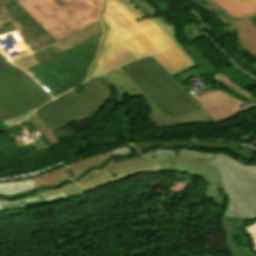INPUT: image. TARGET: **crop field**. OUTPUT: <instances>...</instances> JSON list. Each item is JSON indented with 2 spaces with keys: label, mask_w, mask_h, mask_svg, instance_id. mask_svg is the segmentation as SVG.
<instances>
[{
  "label": "crop field",
  "mask_w": 256,
  "mask_h": 256,
  "mask_svg": "<svg viewBox=\"0 0 256 256\" xmlns=\"http://www.w3.org/2000/svg\"><path fill=\"white\" fill-rule=\"evenodd\" d=\"M154 171H158L156 162L145 157H138L118 163L113 160L105 168L88 173L78 183H71L63 185L59 189H47L44 191L48 196L64 191L68 197H74L131 175Z\"/></svg>",
  "instance_id": "crop-field-9"
},
{
  "label": "crop field",
  "mask_w": 256,
  "mask_h": 256,
  "mask_svg": "<svg viewBox=\"0 0 256 256\" xmlns=\"http://www.w3.org/2000/svg\"><path fill=\"white\" fill-rule=\"evenodd\" d=\"M10 1H13V0H0V4H4V3L10 2Z\"/></svg>",
  "instance_id": "crop-field-31"
},
{
  "label": "crop field",
  "mask_w": 256,
  "mask_h": 256,
  "mask_svg": "<svg viewBox=\"0 0 256 256\" xmlns=\"http://www.w3.org/2000/svg\"><path fill=\"white\" fill-rule=\"evenodd\" d=\"M250 19L254 23V25L256 26V21L253 19V17H251Z\"/></svg>",
  "instance_id": "crop-field-33"
},
{
  "label": "crop field",
  "mask_w": 256,
  "mask_h": 256,
  "mask_svg": "<svg viewBox=\"0 0 256 256\" xmlns=\"http://www.w3.org/2000/svg\"><path fill=\"white\" fill-rule=\"evenodd\" d=\"M31 113H33V111H29L28 113H26L25 115H22V116H19V117H16V118H13V119H10V120H7V121H3V123L7 126V127H10L24 119H26Z\"/></svg>",
  "instance_id": "crop-field-25"
},
{
  "label": "crop field",
  "mask_w": 256,
  "mask_h": 256,
  "mask_svg": "<svg viewBox=\"0 0 256 256\" xmlns=\"http://www.w3.org/2000/svg\"><path fill=\"white\" fill-rule=\"evenodd\" d=\"M89 82L79 95L72 90L41 106L35 113L54 133L73 122L98 115L112 95V88L101 76Z\"/></svg>",
  "instance_id": "crop-field-7"
},
{
  "label": "crop field",
  "mask_w": 256,
  "mask_h": 256,
  "mask_svg": "<svg viewBox=\"0 0 256 256\" xmlns=\"http://www.w3.org/2000/svg\"><path fill=\"white\" fill-rule=\"evenodd\" d=\"M102 32L103 26L97 22L51 46L13 59L12 63L27 71L57 98L86 81Z\"/></svg>",
  "instance_id": "crop-field-2"
},
{
  "label": "crop field",
  "mask_w": 256,
  "mask_h": 256,
  "mask_svg": "<svg viewBox=\"0 0 256 256\" xmlns=\"http://www.w3.org/2000/svg\"><path fill=\"white\" fill-rule=\"evenodd\" d=\"M245 230L249 233V235H251L253 239L252 246L256 250V223L246 227Z\"/></svg>",
  "instance_id": "crop-field-27"
},
{
  "label": "crop field",
  "mask_w": 256,
  "mask_h": 256,
  "mask_svg": "<svg viewBox=\"0 0 256 256\" xmlns=\"http://www.w3.org/2000/svg\"><path fill=\"white\" fill-rule=\"evenodd\" d=\"M101 22L105 31L89 78L152 53L171 74L191 66L156 23L121 0L103 1Z\"/></svg>",
  "instance_id": "crop-field-1"
},
{
  "label": "crop field",
  "mask_w": 256,
  "mask_h": 256,
  "mask_svg": "<svg viewBox=\"0 0 256 256\" xmlns=\"http://www.w3.org/2000/svg\"><path fill=\"white\" fill-rule=\"evenodd\" d=\"M191 1L207 8L214 15H216L220 20H222L226 25H229L232 22L236 21L233 17H231L229 14H227L225 11H223L221 8H219L210 0H191Z\"/></svg>",
  "instance_id": "crop-field-23"
},
{
  "label": "crop field",
  "mask_w": 256,
  "mask_h": 256,
  "mask_svg": "<svg viewBox=\"0 0 256 256\" xmlns=\"http://www.w3.org/2000/svg\"><path fill=\"white\" fill-rule=\"evenodd\" d=\"M57 41L99 21L101 0H18Z\"/></svg>",
  "instance_id": "crop-field-5"
},
{
  "label": "crop field",
  "mask_w": 256,
  "mask_h": 256,
  "mask_svg": "<svg viewBox=\"0 0 256 256\" xmlns=\"http://www.w3.org/2000/svg\"><path fill=\"white\" fill-rule=\"evenodd\" d=\"M132 2L136 1V0H131Z\"/></svg>",
  "instance_id": "crop-field-35"
},
{
  "label": "crop field",
  "mask_w": 256,
  "mask_h": 256,
  "mask_svg": "<svg viewBox=\"0 0 256 256\" xmlns=\"http://www.w3.org/2000/svg\"><path fill=\"white\" fill-rule=\"evenodd\" d=\"M161 171H181L203 177L207 186L206 193L217 207V214L213 218L221 216L224 210L227 196H221L218 185L217 173L206 164L208 160L195 158H171L158 160Z\"/></svg>",
  "instance_id": "crop-field-11"
},
{
  "label": "crop field",
  "mask_w": 256,
  "mask_h": 256,
  "mask_svg": "<svg viewBox=\"0 0 256 256\" xmlns=\"http://www.w3.org/2000/svg\"><path fill=\"white\" fill-rule=\"evenodd\" d=\"M17 30L30 52L57 42L16 1L0 6V35Z\"/></svg>",
  "instance_id": "crop-field-10"
},
{
  "label": "crop field",
  "mask_w": 256,
  "mask_h": 256,
  "mask_svg": "<svg viewBox=\"0 0 256 256\" xmlns=\"http://www.w3.org/2000/svg\"><path fill=\"white\" fill-rule=\"evenodd\" d=\"M235 19L256 14V0H211Z\"/></svg>",
  "instance_id": "crop-field-15"
},
{
  "label": "crop field",
  "mask_w": 256,
  "mask_h": 256,
  "mask_svg": "<svg viewBox=\"0 0 256 256\" xmlns=\"http://www.w3.org/2000/svg\"><path fill=\"white\" fill-rule=\"evenodd\" d=\"M131 152L132 151L129 150L128 148H126L125 146L121 147V148L114 149V153L116 154V156L126 154V153H131Z\"/></svg>",
  "instance_id": "crop-field-29"
},
{
  "label": "crop field",
  "mask_w": 256,
  "mask_h": 256,
  "mask_svg": "<svg viewBox=\"0 0 256 256\" xmlns=\"http://www.w3.org/2000/svg\"><path fill=\"white\" fill-rule=\"evenodd\" d=\"M34 180L38 183L35 188L39 186H58L62 182L71 180L69 175L66 173L65 169H60L49 174L34 178Z\"/></svg>",
  "instance_id": "crop-field-22"
},
{
  "label": "crop field",
  "mask_w": 256,
  "mask_h": 256,
  "mask_svg": "<svg viewBox=\"0 0 256 256\" xmlns=\"http://www.w3.org/2000/svg\"><path fill=\"white\" fill-rule=\"evenodd\" d=\"M28 120L37 126L53 145L60 144L52 130H49V127L36 114H33Z\"/></svg>",
  "instance_id": "crop-field-24"
},
{
  "label": "crop field",
  "mask_w": 256,
  "mask_h": 256,
  "mask_svg": "<svg viewBox=\"0 0 256 256\" xmlns=\"http://www.w3.org/2000/svg\"><path fill=\"white\" fill-rule=\"evenodd\" d=\"M255 20H256V16H254Z\"/></svg>",
  "instance_id": "crop-field-36"
},
{
  "label": "crop field",
  "mask_w": 256,
  "mask_h": 256,
  "mask_svg": "<svg viewBox=\"0 0 256 256\" xmlns=\"http://www.w3.org/2000/svg\"><path fill=\"white\" fill-rule=\"evenodd\" d=\"M32 135H35V134H32ZM35 138H36V139L33 140L34 142H32V140H31V141H28V142L19 143L18 146L21 147V146H24V145H28V144L33 143L34 146L37 148V150L46 147V146L44 145V143H43L37 136H35Z\"/></svg>",
  "instance_id": "crop-field-26"
},
{
  "label": "crop field",
  "mask_w": 256,
  "mask_h": 256,
  "mask_svg": "<svg viewBox=\"0 0 256 256\" xmlns=\"http://www.w3.org/2000/svg\"><path fill=\"white\" fill-rule=\"evenodd\" d=\"M21 125H23L27 130H28V132L31 134V133H33L29 128H27L23 123H20Z\"/></svg>",
  "instance_id": "crop-field-32"
},
{
  "label": "crop field",
  "mask_w": 256,
  "mask_h": 256,
  "mask_svg": "<svg viewBox=\"0 0 256 256\" xmlns=\"http://www.w3.org/2000/svg\"><path fill=\"white\" fill-rule=\"evenodd\" d=\"M36 182L33 179L22 180L12 183H0V196L15 197L21 196L27 192L34 190L33 184Z\"/></svg>",
  "instance_id": "crop-field-20"
},
{
  "label": "crop field",
  "mask_w": 256,
  "mask_h": 256,
  "mask_svg": "<svg viewBox=\"0 0 256 256\" xmlns=\"http://www.w3.org/2000/svg\"><path fill=\"white\" fill-rule=\"evenodd\" d=\"M139 152L144 151L145 149L154 146H189V147H199V148H207L212 150L225 149L229 152L238 156L239 149L242 145L226 143V142H155V143H142V144H134Z\"/></svg>",
  "instance_id": "crop-field-14"
},
{
  "label": "crop field",
  "mask_w": 256,
  "mask_h": 256,
  "mask_svg": "<svg viewBox=\"0 0 256 256\" xmlns=\"http://www.w3.org/2000/svg\"><path fill=\"white\" fill-rule=\"evenodd\" d=\"M207 165L218 173L221 194L228 195L223 216L256 218V164L218 153Z\"/></svg>",
  "instance_id": "crop-field-6"
},
{
  "label": "crop field",
  "mask_w": 256,
  "mask_h": 256,
  "mask_svg": "<svg viewBox=\"0 0 256 256\" xmlns=\"http://www.w3.org/2000/svg\"><path fill=\"white\" fill-rule=\"evenodd\" d=\"M52 98L0 55V121L37 109Z\"/></svg>",
  "instance_id": "crop-field-8"
},
{
  "label": "crop field",
  "mask_w": 256,
  "mask_h": 256,
  "mask_svg": "<svg viewBox=\"0 0 256 256\" xmlns=\"http://www.w3.org/2000/svg\"><path fill=\"white\" fill-rule=\"evenodd\" d=\"M188 53L193 57L194 61L198 64V66L181 72L179 74L174 75L181 83L189 82L188 79L194 77L195 79L201 80L200 76L206 75L210 73L212 76L220 80L230 89L235 91L236 93L240 94L241 96L249 99L253 97L256 99L254 95L249 93L248 91L242 89L237 84L231 82L226 76H224L220 71L218 72L215 68L216 66L214 63L208 59L204 58L205 53H202L198 49V45H195L193 42L190 45L184 46ZM187 76V77H186ZM253 103V100H251Z\"/></svg>",
  "instance_id": "crop-field-12"
},
{
  "label": "crop field",
  "mask_w": 256,
  "mask_h": 256,
  "mask_svg": "<svg viewBox=\"0 0 256 256\" xmlns=\"http://www.w3.org/2000/svg\"><path fill=\"white\" fill-rule=\"evenodd\" d=\"M101 76L114 85L117 90L118 99L117 102L113 103L111 111L119 102H124L126 93H131L133 96L144 95L153 112L149 116L152 122L155 123L156 128L182 124L222 122L242 111L256 108V105L249 104L242 109L239 106L244 102L214 88L193 95L204 108L169 120L121 68L106 72Z\"/></svg>",
  "instance_id": "crop-field-3"
},
{
  "label": "crop field",
  "mask_w": 256,
  "mask_h": 256,
  "mask_svg": "<svg viewBox=\"0 0 256 256\" xmlns=\"http://www.w3.org/2000/svg\"><path fill=\"white\" fill-rule=\"evenodd\" d=\"M42 199H45L47 201L48 205H50V204H54V203L61 202L64 200H68V197L65 195L64 192L47 197L45 192L40 190V191L36 192L35 194H31L26 197H22L21 199H18L16 201L10 202V201L0 200V210L1 209L25 208V203L42 200Z\"/></svg>",
  "instance_id": "crop-field-16"
},
{
  "label": "crop field",
  "mask_w": 256,
  "mask_h": 256,
  "mask_svg": "<svg viewBox=\"0 0 256 256\" xmlns=\"http://www.w3.org/2000/svg\"><path fill=\"white\" fill-rule=\"evenodd\" d=\"M247 218H228L222 216L223 227L227 233V243L231 256H256L247 246V237L240 230V226Z\"/></svg>",
  "instance_id": "crop-field-13"
},
{
  "label": "crop field",
  "mask_w": 256,
  "mask_h": 256,
  "mask_svg": "<svg viewBox=\"0 0 256 256\" xmlns=\"http://www.w3.org/2000/svg\"><path fill=\"white\" fill-rule=\"evenodd\" d=\"M121 68L169 119L202 108L153 57Z\"/></svg>",
  "instance_id": "crop-field-4"
},
{
  "label": "crop field",
  "mask_w": 256,
  "mask_h": 256,
  "mask_svg": "<svg viewBox=\"0 0 256 256\" xmlns=\"http://www.w3.org/2000/svg\"><path fill=\"white\" fill-rule=\"evenodd\" d=\"M152 20L155 21L159 25V27L163 30V32L176 44V46L180 49V51L184 54V56L193 65L192 67L196 66V63L193 61L192 57L187 53L183 45H181V43L178 41L176 37L175 27L169 21L163 18L161 15H159L158 18H154Z\"/></svg>",
  "instance_id": "crop-field-21"
},
{
  "label": "crop field",
  "mask_w": 256,
  "mask_h": 256,
  "mask_svg": "<svg viewBox=\"0 0 256 256\" xmlns=\"http://www.w3.org/2000/svg\"><path fill=\"white\" fill-rule=\"evenodd\" d=\"M238 32V38L241 40L243 46H247L249 50L256 54V27L249 18L237 21L234 24Z\"/></svg>",
  "instance_id": "crop-field-18"
},
{
  "label": "crop field",
  "mask_w": 256,
  "mask_h": 256,
  "mask_svg": "<svg viewBox=\"0 0 256 256\" xmlns=\"http://www.w3.org/2000/svg\"><path fill=\"white\" fill-rule=\"evenodd\" d=\"M113 156H115V154L113 153L112 149L107 152L73 163L69 165V168L72 170L74 177L77 178L90 167L103 165L104 161Z\"/></svg>",
  "instance_id": "crop-field-19"
},
{
  "label": "crop field",
  "mask_w": 256,
  "mask_h": 256,
  "mask_svg": "<svg viewBox=\"0 0 256 256\" xmlns=\"http://www.w3.org/2000/svg\"><path fill=\"white\" fill-rule=\"evenodd\" d=\"M217 153H209L202 151H193L186 148L179 149H152L144 152L141 155L146 157H152L154 159L166 158V157H200L211 159Z\"/></svg>",
  "instance_id": "crop-field-17"
},
{
  "label": "crop field",
  "mask_w": 256,
  "mask_h": 256,
  "mask_svg": "<svg viewBox=\"0 0 256 256\" xmlns=\"http://www.w3.org/2000/svg\"><path fill=\"white\" fill-rule=\"evenodd\" d=\"M255 151H256V150H254V149L245 147V148L241 151V157L251 161V159H252V157H253Z\"/></svg>",
  "instance_id": "crop-field-28"
},
{
  "label": "crop field",
  "mask_w": 256,
  "mask_h": 256,
  "mask_svg": "<svg viewBox=\"0 0 256 256\" xmlns=\"http://www.w3.org/2000/svg\"><path fill=\"white\" fill-rule=\"evenodd\" d=\"M82 85L86 88V86L88 85V82H86V83H84Z\"/></svg>",
  "instance_id": "crop-field-34"
},
{
  "label": "crop field",
  "mask_w": 256,
  "mask_h": 256,
  "mask_svg": "<svg viewBox=\"0 0 256 256\" xmlns=\"http://www.w3.org/2000/svg\"><path fill=\"white\" fill-rule=\"evenodd\" d=\"M190 23H191V31H192L194 37L195 38L200 37L201 35H200L199 30H198L197 26L195 25L194 21H192Z\"/></svg>",
  "instance_id": "crop-field-30"
}]
</instances>
